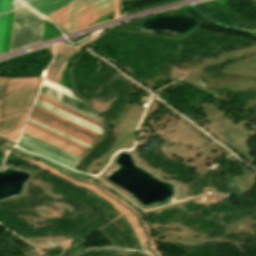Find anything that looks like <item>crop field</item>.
I'll list each match as a JSON object with an SVG mask.
<instances>
[{"label":"crop field","mask_w":256,"mask_h":256,"mask_svg":"<svg viewBox=\"0 0 256 256\" xmlns=\"http://www.w3.org/2000/svg\"><path fill=\"white\" fill-rule=\"evenodd\" d=\"M43 77H0V134L16 140Z\"/></svg>","instance_id":"1"},{"label":"crop field","mask_w":256,"mask_h":256,"mask_svg":"<svg viewBox=\"0 0 256 256\" xmlns=\"http://www.w3.org/2000/svg\"><path fill=\"white\" fill-rule=\"evenodd\" d=\"M74 0L59 10L46 16L50 20L71 31L81 28L114 10L113 0Z\"/></svg>","instance_id":"2"},{"label":"crop field","mask_w":256,"mask_h":256,"mask_svg":"<svg viewBox=\"0 0 256 256\" xmlns=\"http://www.w3.org/2000/svg\"><path fill=\"white\" fill-rule=\"evenodd\" d=\"M43 17L17 0L11 40V50L41 41Z\"/></svg>","instance_id":"3"},{"label":"crop field","mask_w":256,"mask_h":256,"mask_svg":"<svg viewBox=\"0 0 256 256\" xmlns=\"http://www.w3.org/2000/svg\"><path fill=\"white\" fill-rule=\"evenodd\" d=\"M23 131L41 139V140H44V141H46L50 144H53V145H55L59 148H62V149L66 150L70 153H73V154H75L79 157H81L84 154V151H82V150H80V149H78V148H76L72 145H69V144H67V143H65V142H63V141H61L57 138H54V137H52V136H50V135H48V134H46L42 131H39V130H37V129H35V128L27 125V124L25 125V128H24ZM24 132H22V134H21V137H20L21 139H23V140H25L29 143H32V144H34V145H36L40 148H43V149H45V150H47V151H49L53 154H56V155H58V156H60L64 159H67V160H69V161H71L75 164L79 160V157H77L73 154H70V153H68V152H66L62 149H59V148H57L53 145H50V144H48L44 141H41V140H39V139H37L33 136H30V135H28Z\"/></svg>","instance_id":"4"},{"label":"crop field","mask_w":256,"mask_h":256,"mask_svg":"<svg viewBox=\"0 0 256 256\" xmlns=\"http://www.w3.org/2000/svg\"><path fill=\"white\" fill-rule=\"evenodd\" d=\"M34 104L101 134V131H102L101 128H99V127H97V126H95V125H93V124H91L87 121H84V120H82V119H80V118H78V117H76L72 114H69V113H67V112H65V111H63V110H61V109H59L55 106H52V105H50V104H48V103H46V102H44L40 99H36Z\"/></svg>","instance_id":"5"},{"label":"crop field","mask_w":256,"mask_h":256,"mask_svg":"<svg viewBox=\"0 0 256 256\" xmlns=\"http://www.w3.org/2000/svg\"><path fill=\"white\" fill-rule=\"evenodd\" d=\"M43 15H48L72 0H22ZM56 1V2H55Z\"/></svg>","instance_id":"6"},{"label":"crop field","mask_w":256,"mask_h":256,"mask_svg":"<svg viewBox=\"0 0 256 256\" xmlns=\"http://www.w3.org/2000/svg\"><path fill=\"white\" fill-rule=\"evenodd\" d=\"M40 92H42V93H44L46 95H49V96H51V97H53L55 99H58V100H60V101H62L64 103H67V104H69V105H71L73 107H76V108H78V109H80L82 111H85V112H87V113H89L91 115H94V116L100 118L98 116V114L94 110H92L88 105H86V104H84L82 102H79V101H77L75 99H72V98H70V97H68L66 95H63V94H61L59 92H56V91H54V90H52L50 88H47V87L42 85L41 89H40Z\"/></svg>","instance_id":"7"},{"label":"crop field","mask_w":256,"mask_h":256,"mask_svg":"<svg viewBox=\"0 0 256 256\" xmlns=\"http://www.w3.org/2000/svg\"><path fill=\"white\" fill-rule=\"evenodd\" d=\"M18 143L23 145V146H25V147H27V148H30V149L38 152V153H41V154H43V155H45V156H47L49 158H52V159H54V160H56V161H58L60 163H63V164H65V165H67V166H69L71 168H73L75 166V164H73V163H71V162H69L67 160H64V159H62V158H60V157H58L56 155H53V154H51V153H49V152H47V151H45L43 149H40V148H38V147H36V146H34L32 144H29V143H27V142H25V141H23L21 139L19 140Z\"/></svg>","instance_id":"8"},{"label":"crop field","mask_w":256,"mask_h":256,"mask_svg":"<svg viewBox=\"0 0 256 256\" xmlns=\"http://www.w3.org/2000/svg\"><path fill=\"white\" fill-rule=\"evenodd\" d=\"M67 61L68 60H66L64 57H62L56 51H54V60L48 70L62 77L63 70H64V67H65Z\"/></svg>","instance_id":"9"},{"label":"crop field","mask_w":256,"mask_h":256,"mask_svg":"<svg viewBox=\"0 0 256 256\" xmlns=\"http://www.w3.org/2000/svg\"><path fill=\"white\" fill-rule=\"evenodd\" d=\"M28 121H30V122H32V123H34V124H36V125H39V126L45 128V129H48V130H50V131H52V132H54V133H56V134H59V135L65 137V138H67V139H70V140H72V141H74V142H76V143H79V144H81V145H83V146H85V147H87V148L90 147V145H88V144H86V143H84V142H81V141H79V140H77V139H75V138H72V137H70V136H68V135H66V134H63V133H61V132H59V131H57V130H54V129L48 127V126H45V125H43V124H41V123H39V122H36V121H34V120L30 119V118H28Z\"/></svg>","instance_id":"10"},{"label":"crop field","mask_w":256,"mask_h":256,"mask_svg":"<svg viewBox=\"0 0 256 256\" xmlns=\"http://www.w3.org/2000/svg\"><path fill=\"white\" fill-rule=\"evenodd\" d=\"M45 79H46V78H45ZM46 80H48V79H46ZM46 80H44L43 85H45V86H47V87H50V88H52V89H54V90H56V91H59V92H61V93H63V94H66V95H68V96H70V97H73V98L79 100V99H78L77 97H75L71 92L67 91V90H69V89H67V88H65V87H63V86H61V85H59V84H56V83H54V82L48 80V81H50V82H52V83H54V84H56V85H59V86L65 88V89H67V90H65V89H63V88H61V87H59V86H56V85H54V84H52V83H50V82H48V81H46ZM79 101H81V100H79Z\"/></svg>","instance_id":"11"},{"label":"crop field","mask_w":256,"mask_h":256,"mask_svg":"<svg viewBox=\"0 0 256 256\" xmlns=\"http://www.w3.org/2000/svg\"><path fill=\"white\" fill-rule=\"evenodd\" d=\"M15 0H0V13L13 10Z\"/></svg>","instance_id":"12"},{"label":"crop field","mask_w":256,"mask_h":256,"mask_svg":"<svg viewBox=\"0 0 256 256\" xmlns=\"http://www.w3.org/2000/svg\"><path fill=\"white\" fill-rule=\"evenodd\" d=\"M6 16H7V13L0 15V53H1V50H2V43H3V36H4V30H5Z\"/></svg>","instance_id":"13"}]
</instances>
